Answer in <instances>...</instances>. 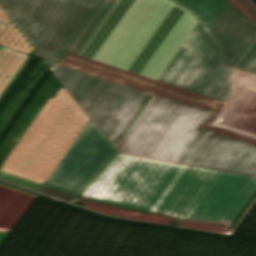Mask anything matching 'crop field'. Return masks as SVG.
Returning <instances> with one entry per match:
<instances>
[{"label":"crop field","instance_id":"3316defc","mask_svg":"<svg viewBox=\"0 0 256 256\" xmlns=\"http://www.w3.org/2000/svg\"><path fill=\"white\" fill-rule=\"evenodd\" d=\"M40 193L52 196L54 198H57L66 202L71 201L75 197L78 198V196H80V195L47 185V184L44 185Z\"/></svg>","mask_w":256,"mask_h":256},{"label":"crop field","instance_id":"f4fd0767","mask_svg":"<svg viewBox=\"0 0 256 256\" xmlns=\"http://www.w3.org/2000/svg\"><path fill=\"white\" fill-rule=\"evenodd\" d=\"M114 149L90 120L47 184L82 195Z\"/></svg>","mask_w":256,"mask_h":256},{"label":"crop field","instance_id":"e52e79f7","mask_svg":"<svg viewBox=\"0 0 256 256\" xmlns=\"http://www.w3.org/2000/svg\"><path fill=\"white\" fill-rule=\"evenodd\" d=\"M35 195L0 184V226L13 228Z\"/></svg>","mask_w":256,"mask_h":256},{"label":"crop field","instance_id":"22f410ed","mask_svg":"<svg viewBox=\"0 0 256 256\" xmlns=\"http://www.w3.org/2000/svg\"><path fill=\"white\" fill-rule=\"evenodd\" d=\"M10 231H11V229H9V228L0 227V244Z\"/></svg>","mask_w":256,"mask_h":256},{"label":"crop field","instance_id":"d1516ede","mask_svg":"<svg viewBox=\"0 0 256 256\" xmlns=\"http://www.w3.org/2000/svg\"><path fill=\"white\" fill-rule=\"evenodd\" d=\"M10 21L11 20L8 18V16L0 8V35L4 31V29L7 27V25L10 23Z\"/></svg>","mask_w":256,"mask_h":256},{"label":"crop field","instance_id":"28ad6ade","mask_svg":"<svg viewBox=\"0 0 256 256\" xmlns=\"http://www.w3.org/2000/svg\"><path fill=\"white\" fill-rule=\"evenodd\" d=\"M177 224H179L182 227H189V228H196V229H203V230H210V231H217V232H227V228H228L226 226L191 221L186 219H181Z\"/></svg>","mask_w":256,"mask_h":256},{"label":"crop field","instance_id":"34b2d1b8","mask_svg":"<svg viewBox=\"0 0 256 256\" xmlns=\"http://www.w3.org/2000/svg\"><path fill=\"white\" fill-rule=\"evenodd\" d=\"M228 1L256 26V8L249 0ZM68 56L157 87L70 59ZM63 63L211 111L213 113L205 123V126L256 142V74L218 67L197 94L228 102L227 105H225L197 94L193 95L173 89L69 54H67ZM248 74L252 76L249 77L247 76ZM158 87L204 101L218 107L215 108ZM225 129L245 134L247 137Z\"/></svg>","mask_w":256,"mask_h":256},{"label":"crop field","instance_id":"dd49c442","mask_svg":"<svg viewBox=\"0 0 256 256\" xmlns=\"http://www.w3.org/2000/svg\"><path fill=\"white\" fill-rule=\"evenodd\" d=\"M82 198L169 215L115 150Z\"/></svg>","mask_w":256,"mask_h":256},{"label":"crop field","instance_id":"8a807250","mask_svg":"<svg viewBox=\"0 0 256 256\" xmlns=\"http://www.w3.org/2000/svg\"><path fill=\"white\" fill-rule=\"evenodd\" d=\"M0 7L36 55L55 63L45 62L116 151L174 163L211 112L61 63L153 95L117 143L149 96L57 66L62 54L69 48L195 94L218 66L236 69L256 41L231 68L256 30L222 0H0ZM242 64L236 70L256 73V49ZM179 163L256 176V143L204 126Z\"/></svg>","mask_w":256,"mask_h":256},{"label":"crop field","instance_id":"412701ff","mask_svg":"<svg viewBox=\"0 0 256 256\" xmlns=\"http://www.w3.org/2000/svg\"><path fill=\"white\" fill-rule=\"evenodd\" d=\"M89 120L62 85L2 163L0 179L39 192Z\"/></svg>","mask_w":256,"mask_h":256},{"label":"crop field","instance_id":"cbeb9de0","mask_svg":"<svg viewBox=\"0 0 256 256\" xmlns=\"http://www.w3.org/2000/svg\"><path fill=\"white\" fill-rule=\"evenodd\" d=\"M10 42L5 41L2 47L0 46L1 49L6 50V48L9 46Z\"/></svg>","mask_w":256,"mask_h":256},{"label":"crop field","instance_id":"5142ce71","mask_svg":"<svg viewBox=\"0 0 256 256\" xmlns=\"http://www.w3.org/2000/svg\"><path fill=\"white\" fill-rule=\"evenodd\" d=\"M4 53V50H1L0 49V57H1V55Z\"/></svg>","mask_w":256,"mask_h":256},{"label":"crop field","instance_id":"5a996713","mask_svg":"<svg viewBox=\"0 0 256 256\" xmlns=\"http://www.w3.org/2000/svg\"><path fill=\"white\" fill-rule=\"evenodd\" d=\"M5 40L21 45L28 49H30L32 46L12 21L0 36V45H2Z\"/></svg>","mask_w":256,"mask_h":256},{"label":"crop field","instance_id":"ac0d7876","mask_svg":"<svg viewBox=\"0 0 256 256\" xmlns=\"http://www.w3.org/2000/svg\"><path fill=\"white\" fill-rule=\"evenodd\" d=\"M122 157L174 217L233 225L256 193V177Z\"/></svg>","mask_w":256,"mask_h":256},{"label":"crop field","instance_id":"d8731c3e","mask_svg":"<svg viewBox=\"0 0 256 256\" xmlns=\"http://www.w3.org/2000/svg\"><path fill=\"white\" fill-rule=\"evenodd\" d=\"M28 52V49L11 43L0 58V88Z\"/></svg>","mask_w":256,"mask_h":256}]
</instances>
